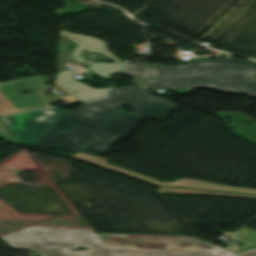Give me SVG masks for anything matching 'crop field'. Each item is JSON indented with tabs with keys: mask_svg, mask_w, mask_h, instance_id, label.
Segmentation results:
<instances>
[{
	"mask_svg": "<svg viewBox=\"0 0 256 256\" xmlns=\"http://www.w3.org/2000/svg\"><path fill=\"white\" fill-rule=\"evenodd\" d=\"M138 86L111 88L107 98L83 103L77 112L62 113L35 144L80 150ZM59 123L70 125V131L57 129Z\"/></svg>",
	"mask_w": 256,
	"mask_h": 256,
	"instance_id": "crop-field-1",
	"label": "crop field"
},
{
	"mask_svg": "<svg viewBox=\"0 0 256 256\" xmlns=\"http://www.w3.org/2000/svg\"><path fill=\"white\" fill-rule=\"evenodd\" d=\"M12 248H28L45 256H116L92 229L27 227L0 236ZM76 246L84 251H67Z\"/></svg>",
	"mask_w": 256,
	"mask_h": 256,
	"instance_id": "crop-field-2",
	"label": "crop field"
},
{
	"mask_svg": "<svg viewBox=\"0 0 256 256\" xmlns=\"http://www.w3.org/2000/svg\"><path fill=\"white\" fill-rule=\"evenodd\" d=\"M148 89L141 86L125 102L135 113L117 111L81 151L101 156L115 139L126 137L144 116L166 118L176 104L151 96Z\"/></svg>",
	"mask_w": 256,
	"mask_h": 256,
	"instance_id": "crop-field-3",
	"label": "crop field"
},
{
	"mask_svg": "<svg viewBox=\"0 0 256 256\" xmlns=\"http://www.w3.org/2000/svg\"><path fill=\"white\" fill-rule=\"evenodd\" d=\"M219 71L256 73V61L247 59L189 60V63L184 65L127 62L123 73L135 77L141 84L147 77Z\"/></svg>",
	"mask_w": 256,
	"mask_h": 256,
	"instance_id": "crop-field-4",
	"label": "crop field"
},
{
	"mask_svg": "<svg viewBox=\"0 0 256 256\" xmlns=\"http://www.w3.org/2000/svg\"><path fill=\"white\" fill-rule=\"evenodd\" d=\"M143 85L164 88L210 87L223 92L256 96L255 74L237 72L154 77L147 79Z\"/></svg>",
	"mask_w": 256,
	"mask_h": 256,
	"instance_id": "crop-field-5",
	"label": "crop field"
},
{
	"mask_svg": "<svg viewBox=\"0 0 256 256\" xmlns=\"http://www.w3.org/2000/svg\"><path fill=\"white\" fill-rule=\"evenodd\" d=\"M47 77L36 75L0 82V115L11 114L29 109L50 106L59 98L55 94L45 95ZM22 90H36V92L21 94Z\"/></svg>",
	"mask_w": 256,
	"mask_h": 256,
	"instance_id": "crop-field-6",
	"label": "crop field"
},
{
	"mask_svg": "<svg viewBox=\"0 0 256 256\" xmlns=\"http://www.w3.org/2000/svg\"><path fill=\"white\" fill-rule=\"evenodd\" d=\"M105 244L192 252L221 249L194 237L145 236L131 234H98Z\"/></svg>",
	"mask_w": 256,
	"mask_h": 256,
	"instance_id": "crop-field-7",
	"label": "crop field"
},
{
	"mask_svg": "<svg viewBox=\"0 0 256 256\" xmlns=\"http://www.w3.org/2000/svg\"><path fill=\"white\" fill-rule=\"evenodd\" d=\"M62 112V109L50 108L0 119L20 143L34 144Z\"/></svg>",
	"mask_w": 256,
	"mask_h": 256,
	"instance_id": "crop-field-8",
	"label": "crop field"
},
{
	"mask_svg": "<svg viewBox=\"0 0 256 256\" xmlns=\"http://www.w3.org/2000/svg\"><path fill=\"white\" fill-rule=\"evenodd\" d=\"M117 256H232V251L225 249L192 252V253H181L121 246L107 245Z\"/></svg>",
	"mask_w": 256,
	"mask_h": 256,
	"instance_id": "crop-field-9",
	"label": "crop field"
},
{
	"mask_svg": "<svg viewBox=\"0 0 256 256\" xmlns=\"http://www.w3.org/2000/svg\"><path fill=\"white\" fill-rule=\"evenodd\" d=\"M173 186L256 194V189L213 184V183H207V182H201V181H195V180H189V179L177 180L174 182Z\"/></svg>",
	"mask_w": 256,
	"mask_h": 256,
	"instance_id": "crop-field-10",
	"label": "crop field"
},
{
	"mask_svg": "<svg viewBox=\"0 0 256 256\" xmlns=\"http://www.w3.org/2000/svg\"><path fill=\"white\" fill-rule=\"evenodd\" d=\"M234 240L243 243L237 246V251L256 246V231L243 228L234 235Z\"/></svg>",
	"mask_w": 256,
	"mask_h": 256,
	"instance_id": "crop-field-11",
	"label": "crop field"
},
{
	"mask_svg": "<svg viewBox=\"0 0 256 256\" xmlns=\"http://www.w3.org/2000/svg\"><path fill=\"white\" fill-rule=\"evenodd\" d=\"M72 157L80 158V159L101 165L103 167H106V168H109V169H112V170H115V171H118L121 173L127 171L126 169L106 163V159H104L102 157H98V156H94V155H90V154H86V153H82V152H79V153L73 155Z\"/></svg>",
	"mask_w": 256,
	"mask_h": 256,
	"instance_id": "crop-field-12",
	"label": "crop field"
},
{
	"mask_svg": "<svg viewBox=\"0 0 256 256\" xmlns=\"http://www.w3.org/2000/svg\"><path fill=\"white\" fill-rule=\"evenodd\" d=\"M156 192L158 193H210V194H222V195H233V196L256 198V196H253V195H242V194H231V193H220V192H209V191H198V190H187V189H176V188H165V187H159Z\"/></svg>",
	"mask_w": 256,
	"mask_h": 256,
	"instance_id": "crop-field-13",
	"label": "crop field"
},
{
	"mask_svg": "<svg viewBox=\"0 0 256 256\" xmlns=\"http://www.w3.org/2000/svg\"><path fill=\"white\" fill-rule=\"evenodd\" d=\"M125 174L135 176L137 178L143 179V180L148 181L150 183L162 184V185H168V186H172V184H173V182H159L158 180H156L154 178H151V177H148V176H145V175H142V174L130 171V170L125 172Z\"/></svg>",
	"mask_w": 256,
	"mask_h": 256,
	"instance_id": "crop-field-14",
	"label": "crop field"
},
{
	"mask_svg": "<svg viewBox=\"0 0 256 256\" xmlns=\"http://www.w3.org/2000/svg\"><path fill=\"white\" fill-rule=\"evenodd\" d=\"M0 137L17 144L16 140L13 138V136L8 132V130L3 126L1 122H0Z\"/></svg>",
	"mask_w": 256,
	"mask_h": 256,
	"instance_id": "crop-field-15",
	"label": "crop field"
},
{
	"mask_svg": "<svg viewBox=\"0 0 256 256\" xmlns=\"http://www.w3.org/2000/svg\"><path fill=\"white\" fill-rule=\"evenodd\" d=\"M237 256H256V248L247 250V251H243V252H239Z\"/></svg>",
	"mask_w": 256,
	"mask_h": 256,
	"instance_id": "crop-field-16",
	"label": "crop field"
}]
</instances>
